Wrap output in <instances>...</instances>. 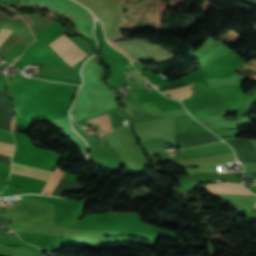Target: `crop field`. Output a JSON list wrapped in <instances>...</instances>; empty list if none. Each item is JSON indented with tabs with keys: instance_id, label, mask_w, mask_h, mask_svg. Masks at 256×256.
<instances>
[{
	"instance_id": "22f410ed",
	"label": "crop field",
	"mask_w": 256,
	"mask_h": 256,
	"mask_svg": "<svg viewBox=\"0 0 256 256\" xmlns=\"http://www.w3.org/2000/svg\"><path fill=\"white\" fill-rule=\"evenodd\" d=\"M255 204H256V202H255ZM255 207H256V205H255Z\"/></svg>"
},
{
	"instance_id": "d8731c3e",
	"label": "crop field",
	"mask_w": 256,
	"mask_h": 256,
	"mask_svg": "<svg viewBox=\"0 0 256 256\" xmlns=\"http://www.w3.org/2000/svg\"><path fill=\"white\" fill-rule=\"evenodd\" d=\"M191 92H187V93H183V94H179V95H175V96H171V97L176 98V97L182 96V98L184 99V98H188L190 96Z\"/></svg>"
},
{
	"instance_id": "3316defc",
	"label": "crop field",
	"mask_w": 256,
	"mask_h": 256,
	"mask_svg": "<svg viewBox=\"0 0 256 256\" xmlns=\"http://www.w3.org/2000/svg\"><path fill=\"white\" fill-rule=\"evenodd\" d=\"M15 123H16V121H15V120H13V121H12V129H14V128H15Z\"/></svg>"
},
{
	"instance_id": "28ad6ade",
	"label": "crop field",
	"mask_w": 256,
	"mask_h": 256,
	"mask_svg": "<svg viewBox=\"0 0 256 256\" xmlns=\"http://www.w3.org/2000/svg\"><path fill=\"white\" fill-rule=\"evenodd\" d=\"M0 154H2V155H6V156H10V157H11V155H10V154H6V153H3V152H0Z\"/></svg>"
},
{
	"instance_id": "5a996713",
	"label": "crop field",
	"mask_w": 256,
	"mask_h": 256,
	"mask_svg": "<svg viewBox=\"0 0 256 256\" xmlns=\"http://www.w3.org/2000/svg\"><path fill=\"white\" fill-rule=\"evenodd\" d=\"M194 85H195V84H192V85H190V86H186V87H183V88L171 90V91H168V92H172V91H177V90L185 89V88H188V87H192V86H194ZM168 92H165V93H168ZM162 93H163V92H162ZM165 93H164V94H165Z\"/></svg>"
},
{
	"instance_id": "f4fd0767",
	"label": "crop field",
	"mask_w": 256,
	"mask_h": 256,
	"mask_svg": "<svg viewBox=\"0 0 256 256\" xmlns=\"http://www.w3.org/2000/svg\"><path fill=\"white\" fill-rule=\"evenodd\" d=\"M106 114V113H105ZM103 115V114H102ZM100 116V115H99ZM97 117V116H96ZM94 118V117H93ZM91 119V118H90ZM88 120V119H87ZM94 124H97L102 131H104L105 133L113 131V128L110 125V119L108 117V114L88 120Z\"/></svg>"
},
{
	"instance_id": "412701ff",
	"label": "crop field",
	"mask_w": 256,
	"mask_h": 256,
	"mask_svg": "<svg viewBox=\"0 0 256 256\" xmlns=\"http://www.w3.org/2000/svg\"><path fill=\"white\" fill-rule=\"evenodd\" d=\"M235 55L233 54V52L230 50L229 52H227L225 55H223L221 58L217 59L216 61L212 62L211 64L203 67L202 69L205 70L207 73L212 72L213 70L217 69L218 67H220L221 65H223L224 63H226L228 60H230L232 57H234Z\"/></svg>"
},
{
	"instance_id": "dd49c442",
	"label": "crop field",
	"mask_w": 256,
	"mask_h": 256,
	"mask_svg": "<svg viewBox=\"0 0 256 256\" xmlns=\"http://www.w3.org/2000/svg\"><path fill=\"white\" fill-rule=\"evenodd\" d=\"M13 149L14 145L0 142V150L13 152Z\"/></svg>"
},
{
	"instance_id": "ac0d7876",
	"label": "crop field",
	"mask_w": 256,
	"mask_h": 256,
	"mask_svg": "<svg viewBox=\"0 0 256 256\" xmlns=\"http://www.w3.org/2000/svg\"><path fill=\"white\" fill-rule=\"evenodd\" d=\"M49 45L71 66L87 56L78 46L71 42L65 34Z\"/></svg>"
},
{
	"instance_id": "34b2d1b8",
	"label": "crop field",
	"mask_w": 256,
	"mask_h": 256,
	"mask_svg": "<svg viewBox=\"0 0 256 256\" xmlns=\"http://www.w3.org/2000/svg\"><path fill=\"white\" fill-rule=\"evenodd\" d=\"M245 189L242 184L218 183L206 185V190L213 193H239L253 195Z\"/></svg>"
},
{
	"instance_id": "d1516ede",
	"label": "crop field",
	"mask_w": 256,
	"mask_h": 256,
	"mask_svg": "<svg viewBox=\"0 0 256 256\" xmlns=\"http://www.w3.org/2000/svg\"><path fill=\"white\" fill-rule=\"evenodd\" d=\"M170 155H175V153H170Z\"/></svg>"
},
{
	"instance_id": "8a807250",
	"label": "crop field",
	"mask_w": 256,
	"mask_h": 256,
	"mask_svg": "<svg viewBox=\"0 0 256 256\" xmlns=\"http://www.w3.org/2000/svg\"><path fill=\"white\" fill-rule=\"evenodd\" d=\"M57 169V168H56ZM56 169L52 172L50 170H45V169H40V168H35V167H30V166H24V165H19V164H14L12 163V173L13 174H18V175H23V176H28V177H33V178H39V179H44L46 180L48 178V180L50 179V177L53 175V173L56 171ZM64 174V172L60 171L59 168L57 169V171L54 173V175L51 177V179L48 181H46V186L45 184L43 185V187L40 189L39 192L43 193H49L52 194L55 186L57 185L59 179L62 177V175Z\"/></svg>"
},
{
	"instance_id": "e52e79f7",
	"label": "crop field",
	"mask_w": 256,
	"mask_h": 256,
	"mask_svg": "<svg viewBox=\"0 0 256 256\" xmlns=\"http://www.w3.org/2000/svg\"><path fill=\"white\" fill-rule=\"evenodd\" d=\"M5 29H1L0 30V34L4 31ZM12 31H9V30H5L2 35L0 36V44L9 36V34L11 33Z\"/></svg>"
}]
</instances>
